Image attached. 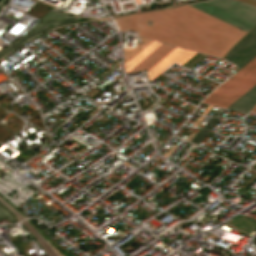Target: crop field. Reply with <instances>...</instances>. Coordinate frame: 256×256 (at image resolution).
Returning a JSON list of instances; mask_svg holds the SVG:
<instances>
[{
  "instance_id": "obj_1",
  "label": "crop field",
  "mask_w": 256,
  "mask_h": 256,
  "mask_svg": "<svg viewBox=\"0 0 256 256\" xmlns=\"http://www.w3.org/2000/svg\"><path fill=\"white\" fill-rule=\"evenodd\" d=\"M119 30L222 58L246 32L189 5L114 18ZM153 20L152 26H147Z\"/></svg>"
},
{
  "instance_id": "obj_2",
  "label": "crop field",
  "mask_w": 256,
  "mask_h": 256,
  "mask_svg": "<svg viewBox=\"0 0 256 256\" xmlns=\"http://www.w3.org/2000/svg\"><path fill=\"white\" fill-rule=\"evenodd\" d=\"M190 5L247 32L256 25V8L235 0H217Z\"/></svg>"
},
{
  "instance_id": "obj_3",
  "label": "crop field",
  "mask_w": 256,
  "mask_h": 256,
  "mask_svg": "<svg viewBox=\"0 0 256 256\" xmlns=\"http://www.w3.org/2000/svg\"><path fill=\"white\" fill-rule=\"evenodd\" d=\"M256 84V56L236 75L213 91L203 103L226 108L243 92Z\"/></svg>"
},
{
  "instance_id": "obj_4",
  "label": "crop field",
  "mask_w": 256,
  "mask_h": 256,
  "mask_svg": "<svg viewBox=\"0 0 256 256\" xmlns=\"http://www.w3.org/2000/svg\"><path fill=\"white\" fill-rule=\"evenodd\" d=\"M78 18L69 16L63 12L51 8L37 23H35L20 39L12 43L6 49L0 51V57L21 43L23 40L39 33L40 31L66 23L77 21Z\"/></svg>"
},
{
  "instance_id": "obj_5",
  "label": "crop field",
  "mask_w": 256,
  "mask_h": 256,
  "mask_svg": "<svg viewBox=\"0 0 256 256\" xmlns=\"http://www.w3.org/2000/svg\"><path fill=\"white\" fill-rule=\"evenodd\" d=\"M256 55V26L250 30L225 56L240 69Z\"/></svg>"
},
{
  "instance_id": "obj_6",
  "label": "crop field",
  "mask_w": 256,
  "mask_h": 256,
  "mask_svg": "<svg viewBox=\"0 0 256 256\" xmlns=\"http://www.w3.org/2000/svg\"><path fill=\"white\" fill-rule=\"evenodd\" d=\"M195 54V52L175 48L169 54H167L156 66L147 72L149 81L153 80L157 75H159L163 70H165L175 61L183 64Z\"/></svg>"
},
{
  "instance_id": "obj_7",
  "label": "crop field",
  "mask_w": 256,
  "mask_h": 256,
  "mask_svg": "<svg viewBox=\"0 0 256 256\" xmlns=\"http://www.w3.org/2000/svg\"><path fill=\"white\" fill-rule=\"evenodd\" d=\"M172 49H174V47L161 44L151 54H149L142 62H140L134 69H132L128 73L137 72V71H141V70L148 71L155 64H157Z\"/></svg>"
},
{
  "instance_id": "obj_8",
  "label": "crop field",
  "mask_w": 256,
  "mask_h": 256,
  "mask_svg": "<svg viewBox=\"0 0 256 256\" xmlns=\"http://www.w3.org/2000/svg\"><path fill=\"white\" fill-rule=\"evenodd\" d=\"M256 105V85L245 92L235 102H233L227 109L247 113L253 106Z\"/></svg>"
},
{
  "instance_id": "obj_9",
  "label": "crop field",
  "mask_w": 256,
  "mask_h": 256,
  "mask_svg": "<svg viewBox=\"0 0 256 256\" xmlns=\"http://www.w3.org/2000/svg\"><path fill=\"white\" fill-rule=\"evenodd\" d=\"M225 111V109L218 108L217 111L212 115V117L207 121V123L200 129V131L193 137L191 141L199 144L205 138L210 129L219 121Z\"/></svg>"
},
{
  "instance_id": "obj_10",
  "label": "crop field",
  "mask_w": 256,
  "mask_h": 256,
  "mask_svg": "<svg viewBox=\"0 0 256 256\" xmlns=\"http://www.w3.org/2000/svg\"><path fill=\"white\" fill-rule=\"evenodd\" d=\"M159 45V43L152 42L149 46H147L143 51H141L136 57H134L129 63L125 65L126 72L134 68L140 61H142L149 53H151Z\"/></svg>"
},
{
  "instance_id": "obj_11",
  "label": "crop field",
  "mask_w": 256,
  "mask_h": 256,
  "mask_svg": "<svg viewBox=\"0 0 256 256\" xmlns=\"http://www.w3.org/2000/svg\"><path fill=\"white\" fill-rule=\"evenodd\" d=\"M4 217H8V218H6V219L8 220L9 223L16 221V219H15L6 209H4V208L0 205V219H2V218H4Z\"/></svg>"
},
{
  "instance_id": "obj_12",
  "label": "crop field",
  "mask_w": 256,
  "mask_h": 256,
  "mask_svg": "<svg viewBox=\"0 0 256 256\" xmlns=\"http://www.w3.org/2000/svg\"><path fill=\"white\" fill-rule=\"evenodd\" d=\"M238 1H241L243 3H246V4H249V5H252V6L256 7V0H238Z\"/></svg>"
},
{
  "instance_id": "obj_13",
  "label": "crop field",
  "mask_w": 256,
  "mask_h": 256,
  "mask_svg": "<svg viewBox=\"0 0 256 256\" xmlns=\"http://www.w3.org/2000/svg\"><path fill=\"white\" fill-rule=\"evenodd\" d=\"M190 146H191V144L187 143V144L181 149V151L185 152Z\"/></svg>"
},
{
  "instance_id": "obj_14",
  "label": "crop field",
  "mask_w": 256,
  "mask_h": 256,
  "mask_svg": "<svg viewBox=\"0 0 256 256\" xmlns=\"http://www.w3.org/2000/svg\"><path fill=\"white\" fill-rule=\"evenodd\" d=\"M6 1H7V0H2V1L0 2V9L3 7V5L6 3Z\"/></svg>"
},
{
  "instance_id": "obj_15",
  "label": "crop field",
  "mask_w": 256,
  "mask_h": 256,
  "mask_svg": "<svg viewBox=\"0 0 256 256\" xmlns=\"http://www.w3.org/2000/svg\"><path fill=\"white\" fill-rule=\"evenodd\" d=\"M252 112H255V113H256V107L253 108Z\"/></svg>"
}]
</instances>
